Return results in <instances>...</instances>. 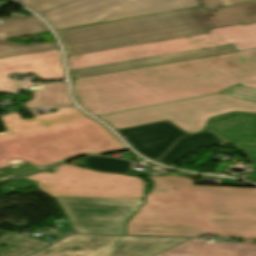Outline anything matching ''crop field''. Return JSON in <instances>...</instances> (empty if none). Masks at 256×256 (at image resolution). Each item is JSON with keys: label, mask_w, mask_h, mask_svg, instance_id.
Wrapping results in <instances>:
<instances>
[{"label": "crop field", "mask_w": 256, "mask_h": 256, "mask_svg": "<svg viewBox=\"0 0 256 256\" xmlns=\"http://www.w3.org/2000/svg\"><path fill=\"white\" fill-rule=\"evenodd\" d=\"M120 236L71 235L33 256H106Z\"/></svg>", "instance_id": "obj_13"}, {"label": "crop field", "mask_w": 256, "mask_h": 256, "mask_svg": "<svg viewBox=\"0 0 256 256\" xmlns=\"http://www.w3.org/2000/svg\"><path fill=\"white\" fill-rule=\"evenodd\" d=\"M232 43L238 51L256 48V24L210 30V33L107 51L71 56L69 69L76 70L163 54L197 50Z\"/></svg>", "instance_id": "obj_5"}, {"label": "crop field", "mask_w": 256, "mask_h": 256, "mask_svg": "<svg viewBox=\"0 0 256 256\" xmlns=\"http://www.w3.org/2000/svg\"><path fill=\"white\" fill-rule=\"evenodd\" d=\"M128 150L103 124L88 118L0 134V180L27 175L83 154ZM20 158L27 164L10 163Z\"/></svg>", "instance_id": "obj_4"}, {"label": "crop field", "mask_w": 256, "mask_h": 256, "mask_svg": "<svg viewBox=\"0 0 256 256\" xmlns=\"http://www.w3.org/2000/svg\"><path fill=\"white\" fill-rule=\"evenodd\" d=\"M48 31L46 25L36 16L25 19L8 18L0 25V40Z\"/></svg>", "instance_id": "obj_20"}, {"label": "crop field", "mask_w": 256, "mask_h": 256, "mask_svg": "<svg viewBox=\"0 0 256 256\" xmlns=\"http://www.w3.org/2000/svg\"><path fill=\"white\" fill-rule=\"evenodd\" d=\"M50 116L43 118H33L29 120H22L19 113H14L1 117L8 132L17 131L22 129H28L33 127H39L49 124H55L60 122H66L71 120H77L82 118H88L77 108L61 109L55 113L49 114Z\"/></svg>", "instance_id": "obj_18"}, {"label": "crop field", "mask_w": 256, "mask_h": 256, "mask_svg": "<svg viewBox=\"0 0 256 256\" xmlns=\"http://www.w3.org/2000/svg\"><path fill=\"white\" fill-rule=\"evenodd\" d=\"M236 83L256 90V50L72 81L75 98L94 115L213 94Z\"/></svg>", "instance_id": "obj_1"}, {"label": "crop field", "mask_w": 256, "mask_h": 256, "mask_svg": "<svg viewBox=\"0 0 256 256\" xmlns=\"http://www.w3.org/2000/svg\"><path fill=\"white\" fill-rule=\"evenodd\" d=\"M130 165L131 162L129 161L106 157L86 156L84 167L99 171L127 173L130 172Z\"/></svg>", "instance_id": "obj_22"}, {"label": "crop field", "mask_w": 256, "mask_h": 256, "mask_svg": "<svg viewBox=\"0 0 256 256\" xmlns=\"http://www.w3.org/2000/svg\"><path fill=\"white\" fill-rule=\"evenodd\" d=\"M236 51L237 49L232 44H229V45H224V46H219V47H214L209 49L182 52V53L158 56V57L142 59L137 61L76 70L71 72L70 75H71V78H77V77H83V76H89V75H95V74H101V73H107V72H113V71H119V70H125V69H132V68H138V67H144V66H150V65H157V64H163V63H169V62H176V61H182V60H188V59L225 54V53L236 52Z\"/></svg>", "instance_id": "obj_14"}, {"label": "crop field", "mask_w": 256, "mask_h": 256, "mask_svg": "<svg viewBox=\"0 0 256 256\" xmlns=\"http://www.w3.org/2000/svg\"><path fill=\"white\" fill-rule=\"evenodd\" d=\"M9 73H34L41 80H57L64 78L59 49L1 58L0 59V91L11 93L29 84V81H12Z\"/></svg>", "instance_id": "obj_10"}, {"label": "crop field", "mask_w": 256, "mask_h": 256, "mask_svg": "<svg viewBox=\"0 0 256 256\" xmlns=\"http://www.w3.org/2000/svg\"><path fill=\"white\" fill-rule=\"evenodd\" d=\"M239 86H236V87L224 92L223 94L256 102V91L255 90H251V89H247V88H243V87H239Z\"/></svg>", "instance_id": "obj_25"}, {"label": "crop field", "mask_w": 256, "mask_h": 256, "mask_svg": "<svg viewBox=\"0 0 256 256\" xmlns=\"http://www.w3.org/2000/svg\"><path fill=\"white\" fill-rule=\"evenodd\" d=\"M18 1L25 4L35 12L39 13L41 11H44L56 6H60L75 0H18Z\"/></svg>", "instance_id": "obj_24"}, {"label": "crop field", "mask_w": 256, "mask_h": 256, "mask_svg": "<svg viewBox=\"0 0 256 256\" xmlns=\"http://www.w3.org/2000/svg\"><path fill=\"white\" fill-rule=\"evenodd\" d=\"M158 256H256V245L205 243L195 239Z\"/></svg>", "instance_id": "obj_15"}, {"label": "crop field", "mask_w": 256, "mask_h": 256, "mask_svg": "<svg viewBox=\"0 0 256 256\" xmlns=\"http://www.w3.org/2000/svg\"><path fill=\"white\" fill-rule=\"evenodd\" d=\"M123 238H134V237H122L121 239H123Z\"/></svg>", "instance_id": "obj_28"}, {"label": "crop field", "mask_w": 256, "mask_h": 256, "mask_svg": "<svg viewBox=\"0 0 256 256\" xmlns=\"http://www.w3.org/2000/svg\"><path fill=\"white\" fill-rule=\"evenodd\" d=\"M204 177H210V178H214V179H219V178H217V177L202 175V177L200 178V180L198 181V183H200ZM221 181H222V184H224V185H242V186H249V185H247V184L236 183L237 181H236V180H233V179L222 178ZM205 184H208V183H205Z\"/></svg>", "instance_id": "obj_26"}, {"label": "crop field", "mask_w": 256, "mask_h": 256, "mask_svg": "<svg viewBox=\"0 0 256 256\" xmlns=\"http://www.w3.org/2000/svg\"><path fill=\"white\" fill-rule=\"evenodd\" d=\"M222 94L101 118L116 130L168 120L191 134L204 130L210 117L231 111L256 112V103Z\"/></svg>", "instance_id": "obj_7"}, {"label": "crop field", "mask_w": 256, "mask_h": 256, "mask_svg": "<svg viewBox=\"0 0 256 256\" xmlns=\"http://www.w3.org/2000/svg\"><path fill=\"white\" fill-rule=\"evenodd\" d=\"M151 179L155 187L127 223L128 234L256 238V189L192 186L177 176Z\"/></svg>", "instance_id": "obj_2"}, {"label": "crop field", "mask_w": 256, "mask_h": 256, "mask_svg": "<svg viewBox=\"0 0 256 256\" xmlns=\"http://www.w3.org/2000/svg\"><path fill=\"white\" fill-rule=\"evenodd\" d=\"M23 177L37 181V188L49 196L92 198H143L145 183L137 178L96 172L67 164Z\"/></svg>", "instance_id": "obj_8"}, {"label": "crop field", "mask_w": 256, "mask_h": 256, "mask_svg": "<svg viewBox=\"0 0 256 256\" xmlns=\"http://www.w3.org/2000/svg\"><path fill=\"white\" fill-rule=\"evenodd\" d=\"M52 198L74 232L107 234H125V223L143 202V199Z\"/></svg>", "instance_id": "obj_9"}, {"label": "crop field", "mask_w": 256, "mask_h": 256, "mask_svg": "<svg viewBox=\"0 0 256 256\" xmlns=\"http://www.w3.org/2000/svg\"><path fill=\"white\" fill-rule=\"evenodd\" d=\"M31 112L33 113L34 117H38L39 116L38 113L36 112V110H31ZM43 116H47V114L46 115H42L40 117H43Z\"/></svg>", "instance_id": "obj_27"}, {"label": "crop field", "mask_w": 256, "mask_h": 256, "mask_svg": "<svg viewBox=\"0 0 256 256\" xmlns=\"http://www.w3.org/2000/svg\"><path fill=\"white\" fill-rule=\"evenodd\" d=\"M132 148L156 161L179 137L189 135L168 121L117 131Z\"/></svg>", "instance_id": "obj_11"}, {"label": "crop field", "mask_w": 256, "mask_h": 256, "mask_svg": "<svg viewBox=\"0 0 256 256\" xmlns=\"http://www.w3.org/2000/svg\"><path fill=\"white\" fill-rule=\"evenodd\" d=\"M58 46L55 42L35 44V45H20V44H8L6 40L0 41V58L7 56H14L50 49H56Z\"/></svg>", "instance_id": "obj_23"}, {"label": "crop field", "mask_w": 256, "mask_h": 256, "mask_svg": "<svg viewBox=\"0 0 256 256\" xmlns=\"http://www.w3.org/2000/svg\"><path fill=\"white\" fill-rule=\"evenodd\" d=\"M41 108H54V107H41Z\"/></svg>", "instance_id": "obj_29"}, {"label": "crop field", "mask_w": 256, "mask_h": 256, "mask_svg": "<svg viewBox=\"0 0 256 256\" xmlns=\"http://www.w3.org/2000/svg\"><path fill=\"white\" fill-rule=\"evenodd\" d=\"M256 21V0L206 11L203 7L57 32L67 55L202 34ZM89 48V50H86Z\"/></svg>", "instance_id": "obj_3"}, {"label": "crop field", "mask_w": 256, "mask_h": 256, "mask_svg": "<svg viewBox=\"0 0 256 256\" xmlns=\"http://www.w3.org/2000/svg\"><path fill=\"white\" fill-rule=\"evenodd\" d=\"M188 238L135 237L120 240L108 256H154Z\"/></svg>", "instance_id": "obj_16"}, {"label": "crop field", "mask_w": 256, "mask_h": 256, "mask_svg": "<svg viewBox=\"0 0 256 256\" xmlns=\"http://www.w3.org/2000/svg\"><path fill=\"white\" fill-rule=\"evenodd\" d=\"M215 145H228L210 131L182 138L173 148L168 151L158 162L175 167L176 161L203 148Z\"/></svg>", "instance_id": "obj_17"}, {"label": "crop field", "mask_w": 256, "mask_h": 256, "mask_svg": "<svg viewBox=\"0 0 256 256\" xmlns=\"http://www.w3.org/2000/svg\"><path fill=\"white\" fill-rule=\"evenodd\" d=\"M45 90L32 91L34 98L25 102L26 109L40 106L66 107L74 104L68 97L66 82L44 84Z\"/></svg>", "instance_id": "obj_19"}, {"label": "crop field", "mask_w": 256, "mask_h": 256, "mask_svg": "<svg viewBox=\"0 0 256 256\" xmlns=\"http://www.w3.org/2000/svg\"><path fill=\"white\" fill-rule=\"evenodd\" d=\"M209 129L225 142L236 143L256 164V115L232 113L212 119ZM249 180L256 182V173Z\"/></svg>", "instance_id": "obj_12"}, {"label": "crop field", "mask_w": 256, "mask_h": 256, "mask_svg": "<svg viewBox=\"0 0 256 256\" xmlns=\"http://www.w3.org/2000/svg\"><path fill=\"white\" fill-rule=\"evenodd\" d=\"M250 0H81L41 16L55 30L203 6L206 10Z\"/></svg>", "instance_id": "obj_6"}, {"label": "crop field", "mask_w": 256, "mask_h": 256, "mask_svg": "<svg viewBox=\"0 0 256 256\" xmlns=\"http://www.w3.org/2000/svg\"><path fill=\"white\" fill-rule=\"evenodd\" d=\"M1 243L7 246L0 248V256H26L51 244L10 233L0 237ZM9 245L15 246L10 248Z\"/></svg>", "instance_id": "obj_21"}]
</instances>
